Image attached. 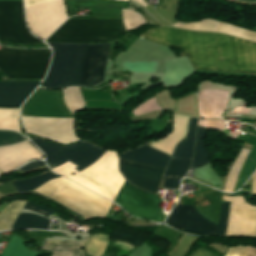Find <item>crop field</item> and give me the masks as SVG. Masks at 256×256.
Returning a JSON list of instances; mask_svg holds the SVG:
<instances>
[{
  "instance_id": "1",
  "label": "crop field",
  "mask_w": 256,
  "mask_h": 256,
  "mask_svg": "<svg viewBox=\"0 0 256 256\" xmlns=\"http://www.w3.org/2000/svg\"><path fill=\"white\" fill-rule=\"evenodd\" d=\"M62 26H123L122 20H68ZM124 27H60L46 42L94 43L114 40ZM53 51L49 72L42 87H95L103 83L106 44L47 43Z\"/></svg>"
},
{
  "instance_id": "2",
  "label": "crop field",
  "mask_w": 256,
  "mask_h": 256,
  "mask_svg": "<svg viewBox=\"0 0 256 256\" xmlns=\"http://www.w3.org/2000/svg\"><path fill=\"white\" fill-rule=\"evenodd\" d=\"M141 37L188 54L195 70L236 72L256 75V43L218 33L194 32L177 28H155Z\"/></svg>"
},
{
  "instance_id": "3",
  "label": "crop field",
  "mask_w": 256,
  "mask_h": 256,
  "mask_svg": "<svg viewBox=\"0 0 256 256\" xmlns=\"http://www.w3.org/2000/svg\"><path fill=\"white\" fill-rule=\"evenodd\" d=\"M117 154L107 150L92 165L79 173L74 169L77 166L69 161L52 170L114 201L125 181L118 171Z\"/></svg>"
},
{
  "instance_id": "4",
  "label": "crop field",
  "mask_w": 256,
  "mask_h": 256,
  "mask_svg": "<svg viewBox=\"0 0 256 256\" xmlns=\"http://www.w3.org/2000/svg\"><path fill=\"white\" fill-rule=\"evenodd\" d=\"M35 192L53 197L52 200L65 206L83 218L94 215L105 217L109 207L111 206V202L64 178L52 180L37 189ZM38 193L35 194L43 196ZM46 196L43 197L48 199L49 197Z\"/></svg>"
},
{
  "instance_id": "5",
  "label": "crop field",
  "mask_w": 256,
  "mask_h": 256,
  "mask_svg": "<svg viewBox=\"0 0 256 256\" xmlns=\"http://www.w3.org/2000/svg\"><path fill=\"white\" fill-rule=\"evenodd\" d=\"M50 50H0V72L9 78L43 79L50 60Z\"/></svg>"
},
{
  "instance_id": "6",
  "label": "crop field",
  "mask_w": 256,
  "mask_h": 256,
  "mask_svg": "<svg viewBox=\"0 0 256 256\" xmlns=\"http://www.w3.org/2000/svg\"><path fill=\"white\" fill-rule=\"evenodd\" d=\"M30 140L45 153L46 161L50 169L69 160L78 166L75 169L79 172L92 164L105 152V150L99 149L84 141L62 147L47 142L39 137Z\"/></svg>"
},
{
  "instance_id": "7",
  "label": "crop field",
  "mask_w": 256,
  "mask_h": 256,
  "mask_svg": "<svg viewBox=\"0 0 256 256\" xmlns=\"http://www.w3.org/2000/svg\"><path fill=\"white\" fill-rule=\"evenodd\" d=\"M229 205L230 203H221L217 226L207 221L193 206L184 205H175L167 223L193 234L224 236L226 233Z\"/></svg>"
},
{
  "instance_id": "8",
  "label": "crop field",
  "mask_w": 256,
  "mask_h": 256,
  "mask_svg": "<svg viewBox=\"0 0 256 256\" xmlns=\"http://www.w3.org/2000/svg\"><path fill=\"white\" fill-rule=\"evenodd\" d=\"M128 213L144 219L161 222L166 216L156 214L162 200L153 194L142 191L126 182L115 201Z\"/></svg>"
},
{
  "instance_id": "9",
  "label": "crop field",
  "mask_w": 256,
  "mask_h": 256,
  "mask_svg": "<svg viewBox=\"0 0 256 256\" xmlns=\"http://www.w3.org/2000/svg\"><path fill=\"white\" fill-rule=\"evenodd\" d=\"M25 13L31 32L42 40H45L67 19L63 0H55L26 9Z\"/></svg>"
},
{
  "instance_id": "10",
  "label": "crop field",
  "mask_w": 256,
  "mask_h": 256,
  "mask_svg": "<svg viewBox=\"0 0 256 256\" xmlns=\"http://www.w3.org/2000/svg\"><path fill=\"white\" fill-rule=\"evenodd\" d=\"M0 40L14 43H43L28 33L22 1H0Z\"/></svg>"
},
{
  "instance_id": "11",
  "label": "crop field",
  "mask_w": 256,
  "mask_h": 256,
  "mask_svg": "<svg viewBox=\"0 0 256 256\" xmlns=\"http://www.w3.org/2000/svg\"><path fill=\"white\" fill-rule=\"evenodd\" d=\"M224 201H231L226 235L256 234V206L245 202L243 197H225Z\"/></svg>"
},
{
  "instance_id": "12",
  "label": "crop field",
  "mask_w": 256,
  "mask_h": 256,
  "mask_svg": "<svg viewBox=\"0 0 256 256\" xmlns=\"http://www.w3.org/2000/svg\"><path fill=\"white\" fill-rule=\"evenodd\" d=\"M119 168L127 181L153 194L165 172L164 168L122 158L119 159Z\"/></svg>"
},
{
  "instance_id": "13",
  "label": "crop field",
  "mask_w": 256,
  "mask_h": 256,
  "mask_svg": "<svg viewBox=\"0 0 256 256\" xmlns=\"http://www.w3.org/2000/svg\"><path fill=\"white\" fill-rule=\"evenodd\" d=\"M90 237H85L80 243L67 241H51L46 240L43 245V250L52 251L51 256H82L84 247ZM37 252L27 251L24 248L23 241L15 236H12L2 256H36Z\"/></svg>"
},
{
  "instance_id": "14",
  "label": "crop field",
  "mask_w": 256,
  "mask_h": 256,
  "mask_svg": "<svg viewBox=\"0 0 256 256\" xmlns=\"http://www.w3.org/2000/svg\"><path fill=\"white\" fill-rule=\"evenodd\" d=\"M32 159H42V154L28 141L0 147V170L5 173Z\"/></svg>"
},
{
  "instance_id": "15",
  "label": "crop field",
  "mask_w": 256,
  "mask_h": 256,
  "mask_svg": "<svg viewBox=\"0 0 256 256\" xmlns=\"http://www.w3.org/2000/svg\"><path fill=\"white\" fill-rule=\"evenodd\" d=\"M39 83L0 82V107L20 106Z\"/></svg>"
},
{
  "instance_id": "16",
  "label": "crop field",
  "mask_w": 256,
  "mask_h": 256,
  "mask_svg": "<svg viewBox=\"0 0 256 256\" xmlns=\"http://www.w3.org/2000/svg\"><path fill=\"white\" fill-rule=\"evenodd\" d=\"M123 158L165 167L170 156L161 153L147 145L125 152L121 155Z\"/></svg>"
},
{
  "instance_id": "17",
  "label": "crop field",
  "mask_w": 256,
  "mask_h": 256,
  "mask_svg": "<svg viewBox=\"0 0 256 256\" xmlns=\"http://www.w3.org/2000/svg\"><path fill=\"white\" fill-rule=\"evenodd\" d=\"M196 121L197 119L190 118L187 135L185 139L180 141L174 148L172 158L192 159Z\"/></svg>"
},
{
  "instance_id": "18",
  "label": "crop field",
  "mask_w": 256,
  "mask_h": 256,
  "mask_svg": "<svg viewBox=\"0 0 256 256\" xmlns=\"http://www.w3.org/2000/svg\"><path fill=\"white\" fill-rule=\"evenodd\" d=\"M49 223H50V220L46 218L39 217L30 213H25V214H19L12 229H21V228L48 229Z\"/></svg>"
},
{
  "instance_id": "19",
  "label": "crop field",
  "mask_w": 256,
  "mask_h": 256,
  "mask_svg": "<svg viewBox=\"0 0 256 256\" xmlns=\"http://www.w3.org/2000/svg\"><path fill=\"white\" fill-rule=\"evenodd\" d=\"M24 204L23 201H13L3 209L0 213V230L11 228Z\"/></svg>"
},
{
  "instance_id": "20",
  "label": "crop field",
  "mask_w": 256,
  "mask_h": 256,
  "mask_svg": "<svg viewBox=\"0 0 256 256\" xmlns=\"http://www.w3.org/2000/svg\"><path fill=\"white\" fill-rule=\"evenodd\" d=\"M204 132H205V129L199 126L197 127L196 145L194 149V161L191 169L197 168L209 162L208 155L203 147Z\"/></svg>"
},
{
  "instance_id": "21",
  "label": "crop field",
  "mask_w": 256,
  "mask_h": 256,
  "mask_svg": "<svg viewBox=\"0 0 256 256\" xmlns=\"http://www.w3.org/2000/svg\"><path fill=\"white\" fill-rule=\"evenodd\" d=\"M248 150L245 149H241L240 154L237 156L236 160L234 161L228 175L226 178V182H225V186H224V192H231L234 184L236 182L237 179V175L241 169V166L248 154Z\"/></svg>"
},
{
  "instance_id": "22",
  "label": "crop field",
  "mask_w": 256,
  "mask_h": 256,
  "mask_svg": "<svg viewBox=\"0 0 256 256\" xmlns=\"http://www.w3.org/2000/svg\"><path fill=\"white\" fill-rule=\"evenodd\" d=\"M19 109H0V129H11L20 132Z\"/></svg>"
},
{
  "instance_id": "23",
  "label": "crop field",
  "mask_w": 256,
  "mask_h": 256,
  "mask_svg": "<svg viewBox=\"0 0 256 256\" xmlns=\"http://www.w3.org/2000/svg\"><path fill=\"white\" fill-rule=\"evenodd\" d=\"M109 240V236L101 234H93L91 239L85 245V250L88 255L101 256L106 244Z\"/></svg>"
},
{
  "instance_id": "24",
  "label": "crop field",
  "mask_w": 256,
  "mask_h": 256,
  "mask_svg": "<svg viewBox=\"0 0 256 256\" xmlns=\"http://www.w3.org/2000/svg\"><path fill=\"white\" fill-rule=\"evenodd\" d=\"M219 22L213 20H202L198 22H191V23H177L173 25V27H178L182 29H190V30H204V31H213L215 32L216 28L218 27Z\"/></svg>"
},
{
  "instance_id": "25",
  "label": "crop field",
  "mask_w": 256,
  "mask_h": 256,
  "mask_svg": "<svg viewBox=\"0 0 256 256\" xmlns=\"http://www.w3.org/2000/svg\"><path fill=\"white\" fill-rule=\"evenodd\" d=\"M192 160H174L171 159L164 176L183 177L188 171Z\"/></svg>"
},
{
  "instance_id": "26",
  "label": "crop field",
  "mask_w": 256,
  "mask_h": 256,
  "mask_svg": "<svg viewBox=\"0 0 256 256\" xmlns=\"http://www.w3.org/2000/svg\"><path fill=\"white\" fill-rule=\"evenodd\" d=\"M216 32L230 34V35H234V36H238V37L256 41V33L255 32L237 28L234 26H230V25H227L224 23H221V25L219 26V28L217 29Z\"/></svg>"
},
{
  "instance_id": "27",
  "label": "crop field",
  "mask_w": 256,
  "mask_h": 256,
  "mask_svg": "<svg viewBox=\"0 0 256 256\" xmlns=\"http://www.w3.org/2000/svg\"><path fill=\"white\" fill-rule=\"evenodd\" d=\"M123 21L126 31L140 27L145 24V19L138 13L126 9H122Z\"/></svg>"
},
{
  "instance_id": "28",
  "label": "crop field",
  "mask_w": 256,
  "mask_h": 256,
  "mask_svg": "<svg viewBox=\"0 0 256 256\" xmlns=\"http://www.w3.org/2000/svg\"><path fill=\"white\" fill-rule=\"evenodd\" d=\"M57 177H58L57 175H55L51 172H47L43 175L36 176L32 179L19 180L17 182L32 191L35 188H37V187L43 185L44 183H46L49 179H53V178H57Z\"/></svg>"
},
{
  "instance_id": "29",
  "label": "crop field",
  "mask_w": 256,
  "mask_h": 256,
  "mask_svg": "<svg viewBox=\"0 0 256 256\" xmlns=\"http://www.w3.org/2000/svg\"><path fill=\"white\" fill-rule=\"evenodd\" d=\"M24 138L12 131H0V145L23 140Z\"/></svg>"
},
{
  "instance_id": "30",
  "label": "crop field",
  "mask_w": 256,
  "mask_h": 256,
  "mask_svg": "<svg viewBox=\"0 0 256 256\" xmlns=\"http://www.w3.org/2000/svg\"><path fill=\"white\" fill-rule=\"evenodd\" d=\"M24 208L32 210L34 212H37V213H39V214H41L45 217L54 212V211H52V210H50V209H48L44 206L37 205V204H34V203H29V202H26Z\"/></svg>"
},
{
  "instance_id": "31",
  "label": "crop field",
  "mask_w": 256,
  "mask_h": 256,
  "mask_svg": "<svg viewBox=\"0 0 256 256\" xmlns=\"http://www.w3.org/2000/svg\"><path fill=\"white\" fill-rule=\"evenodd\" d=\"M249 248L248 246L230 247L226 256H247Z\"/></svg>"
},
{
  "instance_id": "32",
  "label": "crop field",
  "mask_w": 256,
  "mask_h": 256,
  "mask_svg": "<svg viewBox=\"0 0 256 256\" xmlns=\"http://www.w3.org/2000/svg\"><path fill=\"white\" fill-rule=\"evenodd\" d=\"M179 179L166 178L164 179V188L167 189H178Z\"/></svg>"
},
{
  "instance_id": "33",
  "label": "crop field",
  "mask_w": 256,
  "mask_h": 256,
  "mask_svg": "<svg viewBox=\"0 0 256 256\" xmlns=\"http://www.w3.org/2000/svg\"><path fill=\"white\" fill-rule=\"evenodd\" d=\"M44 166H46L44 162H32L20 168L19 171L24 172L26 170H30L38 167H44Z\"/></svg>"
},
{
  "instance_id": "34",
  "label": "crop field",
  "mask_w": 256,
  "mask_h": 256,
  "mask_svg": "<svg viewBox=\"0 0 256 256\" xmlns=\"http://www.w3.org/2000/svg\"><path fill=\"white\" fill-rule=\"evenodd\" d=\"M48 1H51V0H24L25 9L48 2ZM124 1H128V0H124Z\"/></svg>"
},
{
  "instance_id": "35",
  "label": "crop field",
  "mask_w": 256,
  "mask_h": 256,
  "mask_svg": "<svg viewBox=\"0 0 256 256\" xmlns=\"http://www.w3.org/2000/svg\"><path fill=\"white\" fill-rule=\"evenodd\" d=\"M190 256H216V255L212 254L209 251H205V250H202V249H197Z\"/></svg>"
},
{
  "instance_id": "36",
  "label": "crop field",
  "mask_w": 256,
  "mask_h": 256,
  "mask_svg": "<svg viewBox=\"0 0 256 256\" xmlns=\"http://www.w3.org/2000/svg\"><path fill=\"white\" fill-rule=\"evenodd\" d=\"M252 193H256V172L253 175V190Z\"/></svg>"
},
{
  "instance_id": "37",
  "label": "crop field",
  "mask_w": 256,
  "mask_h": 256,
  "mask_svg": "<svg viewBox=\"0 0 256 256\" xmlns=\"http://www.w3.org/2000/svg\"><path fill=\"white\" fill-rule=\"evenodd\" d=\"M248 256H256V249L251 247Z\"/></svg>"
},
{
  "instance_id": "38",
  "label": "crop field",
  "mask_w": 256,
  "mask_h": 256,
  "mask_svg": "<svg viewBox=\"0 0 256 256\" xmlns=\"http://www.w3.org/2000/svg\"><path fill=\"white\" fill-rule=\"evenodd\" d=\"M134 1L142 5L143 7L147 5L143 0H134Z\"/></svg>"
},
{
  "instance_id": "39",
  "label": "crop field",
  "mask_w": 256,
  "mask_h": 256,
  "mask_svg": "<svg viewBox=\"0 0 256 256\" xmlns=\"http://www.w3.org/2000/svg\"><path fill=\"white\" fill-rule=\"evenodd\" d=\"M242 1H248V2H254V3H256V0H242Z\"/></svg>"
},
{
  "instance_id": "40",
  "label": "crop field",
  "mask_w": 256,
  "mask_h": 256,
  "mask_svg": "<svg viewBox=\"0 0 256 256\" xmlns=\"http://www.w3.org/2000/svg\"><path fill=\"white\" fill-rule=\"evenodd\" d=\"M4 173L0 172V175H3Z\"/></svg>"
}]
</instances>
